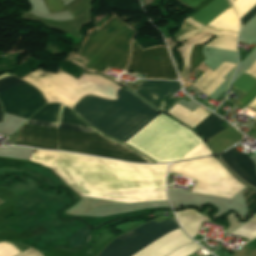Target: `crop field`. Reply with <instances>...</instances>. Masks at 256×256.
I'll return each instance as SVG.
<instances>
[{"label": "crop field", "instance_id": "crop-field-2", "mask_svg": "<svg viewBox=\"0 0 256 256\" xmlns=\"http://www.w3.org/2000/svg\"><path fill=\"white\" fill-rule=\"evenodd\" d=\"M117 98L86 95L71 110L99 131L125 142L156 118L158 111L122 88Z\"/></svg>", "mask_w": 256, "mask_h": 256}, {"label": "crop field", "instance_id": "crop-field-3", "mask_svg": "<svg viewBox=\"0 0 256 256\" xmlns=\"http://www.w3.org/2000/svg\"><path fill=\"white\" fill-rule=\"evenodd\" d=\"M200 142L189 130L161 114L125 143L158 162H169L177 160ZM205 146L201 142L178 160L210 155Z\"/></svg>", "mask_w": 256, "mask_h": 256}, {"label": "crop field", "instance_id": "crop-field-7", "mask_svg": "<svg viewBox=\"0 0 256 256\" xmlns=\"http://www.w3.org/2000/svg\"><path fill=\"white\" fill-rule=\"evenodd\" d=\"M0 101L4 112L28 118L45 102L32 86L10 75L0 80Z\"/></svg>", "mask_w": 256, "mask_h": 256}, {"label": "crop field", "instance_id": "crop-field-26", "mask_svg": "<svg viewBox=\"0 0 256 256\" xmlns=\"http://www.w3.org/2000/svg\"><path fill=\"white\" fill-rule=\"evenodd\" d=\"M250 106L256 108V99L250 104Z\"/></svg>", "mask_w": 256, "mask_h": 256}, {"label": "crop field", "instance_id": "crop-field-23", "mask_svg": "<svg viewBox=\"0 0 256 256\" xmlns=\"http://www.w3.org/2000/svg\"><path fill=\"white\" fill-rule=\"evenodd\" d=\"M177 1L189 8H192V7L196 6L197 4H199L203 0H177Z\"/></svg>", "mask_w": 256, "mask_h": 256}, {"label": "crop field", "instance_id": "crop-field-24", "mask_svg": "<svg viewBox=\"0 0 256 256\" xmlns=\"http://www.w3.org/2000/svg\"><path fill=\"white\" fill-rule=\"evenodd\" d=\"M17 256H42V255H40L37 251L29 248V249L25 250L24 252L18 254Z\"/></svg>", "mask_w": 256, "mask_h": 256}, {"label": "crop field", "instance_id": "crop-field-10", "mask_svg": "<svg viewBox=\"0 0 256 256\" xmlns=\"http://www.w3.org/2000/svg\"><path fill=\"white\" fill-rule=\"evenodd\" d=\"M204 32L217 35L219 31L206 28L194 21L192 18H187L185 19L180 32L176 34L175 40L183 42ZM236 39V33L220 31L219 34L205 46L237 52Z\"/></svg>", "mask_w": 256, "mask_h": 256}, {"label": "crop field", "instance_id": "crop-field-18", "mask_svg": "<svg viewBox=\"0 0 256 256\" xmlns=\"http://www.w3.org/2000/svg\"><path fill=\"white\" fill-rule=\"evenodd\" d=\"M230 2L240 18L256 3V0H230ZM255 14H256V4L246 14H244L240 18L241 27Z\"/></svg>", "mask_w": 256, "mask_h": 256}, {"label": "crop field", "instance_id": "crop-field-16", "mask_svg": "<svg viewBox=\"0 0 256 256\" xmlns=\"http://www.w3.org/2000/svg\"><path fill=\"white\" fill-rule=\"evenodd\" d=\"M182 228L193 237L202 220H208L206 217L200 216L193 209L182 210L175 212Z\"/></svg>", "mask_w": 256, "mask_h": 256}, {"label": "crop field", "instance_id": "crop-field-21", "mask_svg": "<svg viewBox=\"0 0 256 256\" xmlns=\"http://www.w3.org/2000/svg\"><path fill=\"white\" fill-rule=\"evenodd\" d=\"M199 248H201V247H199L195 243L188 244V245H185V246L179 248L178 250H176L175 252L171 253L168 256H187V255L195 252Z\"/></svg>", "mask_w": 256, "mask_h": 256}, {"label": "crop field", "instance_id": "crop-field-27", "mask_svg": "<svg viewBox=\"0 0 256 256\" xmlns=\"http://www.w3.org/2000/svg\"><path fill=\"white\" fill-rule=\"evenodd\" d=\"M1 119H2V106L0 104V121H1Z\"/></svg>", "mask_w": 256, "mask_h": 256}, {"label": "crop field", "instance_id": "crop-field-11", "mask_svg": "<svg viewBox=\"0 0 256 256\" xmlns=\"http://www.w3.org/2000/svg\"><path fill=\"white\" fill-rule=\"evenodd\" d=\"M180 89L178 81H146L134 92L165 112L176 102L171 97Z\"/></svg>", "mask_w": 256, "mask_h": 256}, {"label": "crop field", "instance_id": "crop-field-22", "mask_svg": "<svg viewBox=\"0 0 256 256\" xmlns=\"http://www.w3.org/2000/svg\"><path fill=\"white\" fill-rule=\"evenodd\" d=\"M49 13L64 11L65 8L60 0H43Z\"/></svg>", "mask_w": 256, "mask_h": 256}, {"label": "crop field", "instance_id": "crop-field-20", "mask_svg": "<svg viewBox=\"0 0 256 256\" xmlns=\"http://www.w3.org/2000/svg\"><path fill=\"white\" fill-rule=\"evenodd\" d=\"M203 45L198 44L194 45L191 51V58H190V74L199 66L200 63L203 62L205 59L202 53Z\"/></svg>", "mask_w": 256, "mask_h": 256}, {"label": "crop field", "instance_id": "crop-field-14", "mask_svg": "<svg viewBox=\"0 0 256 256\" xmlns=\"http://www.w3.org/2000/svg\"><path fill=\"white\" fill-rule=\"evenodd\" d=\"M245 73L256 77V61L245 71ZM245 73H243L239 79L232 83L231 86L244 93H248L256 85V78L251 77ZM255 96L256 86L237 103L245 107Z\"/></svg>", "mask_w": 256, "mask_h": 256}, {"label": "crop field", "instance_id": "crop-field-12", "mask_svg": "<svg viewBox=\"0 0 256 256\" xmlns=\"http://www.w3.org/2000/svg\"><path fill=\"white\" fill-rule=\"evenodd\" d=\"M222 161L243 181L256 187L254 163L246 154H240L234 147L219 155Z\"/></svg>", "mask_w": 256, "mask_h": 256}, {"label": "crop field", "instance_id": "crop-field-4", "mask_svg": "<svg viewBox=\"0 0 256 256\" xmlns=\"http://www.w3.org/2000/svg\"><path fill=\"white\" fill-rule=\"evenodd\" d=\"M135 33L113 16L100 29H93L83 49L67 59L90 71L104 73L109 67L124 70L128 62L130 39Z\"/></svg>", "mask_w": 256, "mask_h": 256}, {"label": "crop field", "instance_id": "crop-field-19", "mask_svg": "<svg viewBox=\"0 0 256 256\" xmlns=\"http://www.w3.org/2000/svg\"><path fill=\"white\" fill-rule=\"evenodd\" d=\"M209 36L202 34L197 37H194L187 42L183 43V46L178 48L177 51L182 55L185 68L189 67V58H190V51L193 44L203 43L205 42Z\"/></svg>", "mask_w": 256, "mask_h": 256}, {"label": "crop field", "instance_id": "crop-field-9", "mask_svg": "<svg viewBox=\"0 0 256 256\" xmlns=\"http://www.w3.org/2000/svg\"><path fill=\"white\" fill-rule=\"evenodd\" d=\"M230 6L231 5L228 0H214L212 3L193 15V19L206 25ZM207 26L238 33L239 21L232 7H230L207 24Z\"/></svg>", "mask_w": 256, "mask_h": 256}, {"label": "crop field", "instance_id": "crop-field-17", "mask_svg": "<svg viewBox=\"0 0 256 256\" xmlns=\"http://www.w3.org/2000/svg\"><path fill=\"white\" fill-rule=\"evenodd\" d=\"M216 115L210 114L205 118L199 125H197L193 130L198 132L205 140L225 129L220 124L225 122L217 117Z\"/></svg>", "mask_w": 256, "mask_h": 256}, {"label": "crop field", "instance_id": "crop-field-25", "mask_svg": "<svg viewBox=\"0 0 256 256\" xmlns=\"http://www.w3.org/2000/svg\"><path fill=\"white\" fill-rule=\"evenodd\" d=\"M212 1L213 0H204L199 5H197L195 8H193L192 11L195 13V12L199 11L201 8H203L204 6H206L207 4H209Z\"/></svg>", "mask_w": 256, "mask_h": 256}, {"label": "crop field", "instance_id": "crop-field-8", "mask_svg": "<svg viewBox=\"0 0 256 256\" xmlns=\"http://www.w3.org/2000/svg\"><path fill=\"white\" fill-rule=\"evenodd\" d=\"M127 69L146 75V79H178L166 48L159 46L143 51L134 40Z\"/></svg>", "mask_w": 256, "mask_h": 256}, {"label": "crop field", "instance_id": "crop-field-13", "mask_svg": "<svg viewBox=\"0 0 256 256\" xmlns=\"http://www.w3.org/2000/svg\"><path fill=\"white\" fill-rule=\"evenodd\" d=\"M236 65L223 62L214 72L207 70L194 84L199 91L210 95L225 80L222 78L231 71Z\"/></svg>", "mask_w": 256, "mask_h": 256}, {"label": "crop field", "instance_id": "crop-field-1", "mask_svg": "<svg viewBox=\"0 0 256 256\" xmlns=\"http://www.w3.org/2000/svg\"><path fill=\"white\" fill-rule=\"evenodd\" d=\"M57 107L58 104H48L44 106L31 116L26 123L56 128ZM28 124H24L20 128L15 145L56 149V129ZM58 128L98 133L138 153L146 158L149 163L154 162L133 148L96 131L83 119L64 106L61 108L60 124ZM98 134L58 129L59 149L125 161L148 163L143 157L117 143L102 138Z\"/></svg>", "mask_w": 256, "mask_h": 256}, {"label": "crop field", "instance_id": "crop-field-29", "mask_svg": "<svg viewBox=\"0 0 256 256\" xmlns=\"http://www.w3.org/2000/svg\"><path fill=\"white\" fill-rule=\"evenodd\" d=\"M207 256H212V255L209 254V255H207Z\"/></svg>", "mask_w": 256, "mask_h": 256}, {"label": "crop field", "instance_id": "crop-field-5", "mask_svg": "<svg viewBox=\"0 0 256 256\" xmlns=\"http://www.w3.org/2000/svg\"><path fill=\"white\" fill-rule=\"evenodd\" d=\"M178 228L177 223L172 218L159 224L152 221L117 238L99 256H131L155 239ZM189 242L191 240L178 229L155 240L133 256H166Z\"/></svg>", "mask_w": 256, "mask_h": 256}, {"label": "crop field", "instance_id": "crop-field-28", "mask_svg": "<svg viewBox=\"0 0 256 256\" xmlns=\"http://www.w3.org/2000/svg\"><path fill=\"white\" fill-rule=\"evenodd\" d=\"M2 202H4V201L0 200V203H2Z\"/></svg>", "mask_w": 256, "mask_h": 256}, {"label": "crop field", "instance_id": "crop-field-6", "mask_svg": "<svg viewBox=\"0 0 256 256\" xmlns=\"http://www.w3.org/2000/svg\"><path fill=\"white\" fill-rule=\"evenodd\" d=\"M23 80L34 85L47 102L61 103L69 108H72L84 94L115 99V91L120 88L98 75L84 74L81 79L74 80L61 72L50 74L44 73L41 69Z\"/></svg>", "mask_w": 256, "mask_h": 256}, {"label": "crop field", "instance_id": "crop-field-15", "mask_svg": "<svg viewBox=\"0 0 256 256\" xmlns=\"http://www.w3.org/2000/svg\"><path fill=\"white\" fill-rule=\"evenodd\" d=\"M167 113H170L172 116L176 117L192 128L210 114L199 107L192 113L177 104Z\"/></svg>", "mask_w": 256, "mask_h": 256}]
</instances>
